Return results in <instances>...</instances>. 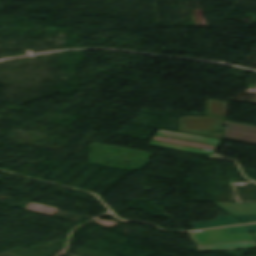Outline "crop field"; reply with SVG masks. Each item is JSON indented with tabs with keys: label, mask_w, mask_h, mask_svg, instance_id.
I'll return each instance as SVG.
<instances>
[{
	"label": "crop field",
	"mask_w": 256,
	"mask_h": 256,
	"mask_svg": "<svg viewBox=\"0 0 256 256\" xmlns=\"http://www.w3.org/2000/svg\"><path fill=\"white\" fill-rule=\"evenodd\" d=\"M225 139L256 145V127L225 122Z\"/></svg>",
	"instance_id": "obj_1"
},
{
	"label": "crop field",
	"mask_w": 256,
	"mask_h": 256,
	"mask_svg": "<svg viewBox=\"0 0 256 256\" xmlns=\"http://www.w3.org/2000/svg\"><path fill=\"white\" fill-rule=\"evenodd\" d=\"M198 247H199L200 252L229 250V249H242V248H254V247H256V241L201 245Z\"/></svg>",
	"instance_id": "obj_3"
},
{
	"label": "crop field",
	"mask_w": 256,
	"mask_h": 256,
	"mask_svg": "<svg viewBox=\"0 0 256 256\" xmlns=\"http://www.w3.org/2000/svg\"><path fill=\"white\" fill-rule=\"evenodd\" d=\"M228 103L208 101L205 114L225 117Z\"/></svg>",
	"instance_id": "obj_6"
},
{
	"label": "crop field",
	"mask_w": 256,
	"mask_h": 256,
	"mask_svg": "<svg viewBox=\"0 0 256 256\" xmlns=\"http://www.w3.org/2000/svg\"><path fill=\"white\" fill-rule=\"evenodd\" d=\"M179 128L222 130V119L215 117H181Z\"/></svg>",
	"instance_id": "obj_2"
},
{
	"label": "crop field",
	"mask_w": 256,
	"mask_h": 256,
	"mask_svg": "<svg viewBox=\"0 0 256 256\" xmlns=\"http://www.w3.org/2000/svg\"><path fill=\"white\" fill-rule=\"evenodd\" d=\"M239 223L240 222H238L237 220H235L230 216H216V221L198 222L193 224H194L195 230H198V229L212 228V227L239 224Z\"/></svg>",
	"instance_id": "obj_5"
},
{
	"label": "crop field",
	"mask_w": 256,
	"mask_h": 256,
	"mask_svg": "<svg viewBox=\"0 0 256 256\" xmlns=\"http://www.w3.org/2000/svg\"><path fill=\"white\" fill-rule=\"evenodd\" d=\"M227 234H242V233H250L244 226H236L230 228H224Z\"/></svg>",
	"instance_id": "obj_7"
},
{
	"label": "crop field",
	"mask_w": 256,
	"mask_h": 256,
	"mask_svg": "<svg viewBox=\"0 0 256 256\" xmlns=\"http://www.w3.org/2000/svg\"><path fill=\"white\" fill-rule=\"evenodd\" d=\"M248 228L251 230V232H256V224H252V225H247ZM246 226V227H247Z\"/></svg>",
	"instance_id": "obj_9"
},
{
	"label": "crop field",
	"mask_w": 256,
	"mask_h": 256,
	"mask_svg": "<svg viewBox=\"0 0 256 256\" xmlns=\"http://www.w3.org/2000/svg\"><path fill=\"white\" fill-rule=\"evenodd\" d=\"M230 214L256 213V202L248 204L216 203Z\"/></svg>",
	"instance_id": "obj_4"
},
{
	"label": "crop field",
	"mask_w": 256,
	"mask_h": 256,
	"mask_svg": "<svg viewBox=\"0 0 256 256\" xmlns=\"http://www.w3.org/2000/svg\"><path fill=\"white\" fill-rule=\"evenodd\" d=\"M243 223L256 221V214L233 215Z\"/></svg>",
	"instance_id": "obj_8"
}]
</instances>
